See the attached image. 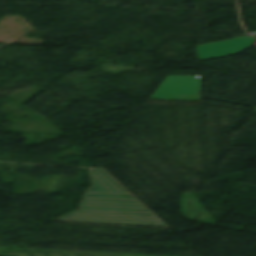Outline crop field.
Here are the masks:
<instances>
[{"instance_id": "1", "label": "crop field", "mask_w": 256, "mask_h": 256, "mask_svg": "<svg viewBox=\"0 0 256 256\" xmlns=\"http://www.w3.org/2000/svg\"><path fill=\"white\" fill-rule=\"evenodd\" d=\"M90 174L80 210L55 221L169 228L103 169Z\"/></svg>"}, {"instance_id": "2", "label": "crop field", "mask_w": 256, "mask_h": 256, "mask_svg": "<svg viewBox=\"0 0 256 256\" xmlns=\"http://www.w3.org/2000/svg\"><path fill=\"white\" fill-rule=\"evenodd\" d=\"M254 41L252 37H243L222 42L198 46L199 59L205 60L235 54L249 47Z\"/></svg>"}]
</instances>
